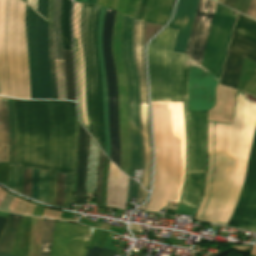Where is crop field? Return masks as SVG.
Here are the masks:
<instances>
[{
    "instance_id": "8a807250",
    "label": "crop field",
    "mask_w": 256,
    "mask_h": 256,
    "mask_svg": "<svg viewBox=\"0 0 256 256\" xmlns=\"http://www.w3.org/2000/svg\"><path fill=\"white\" fill-rule=\"evenodd\" d=\"M176 33L177 30L166 28L148 46L151 103L182 102L184 55L172 52ZM151 108L155 172L152 196L146 210L158 212L168 200L178 202L183 185V103L151 104Z\"/></svg>"
},
{
    "instance_id": "ac0d7876",
    "label": "crop field",
    "mask_w": 256,
    "mask_h": 256,
    "mask_svg": "<svg viewBox=\"0 0 256 256\" xmlns=\"http://www.w3.org/2000/svg\"><path fill=\"white\" fill-rule=\"evenodd\" d=\"M256 131V103L237 94L232 124L209 121L206 186L197 220L227 226Z\"/></svg>"
},
{
    "instance_id": "34b2d1b8",
    "label": "crop field",
    "mask_w": 256,
    "mask_h": 256,
    "mask_svg": "<svg viewBox=\"0 0 256 256\" xmlns=\"http://www.w3.org/2000/svg\"><path fill=\"white\" fill-rule=\"evenodd\" d=\"M15 164L49 170L47 203L56 195L57 171L74 174L78 116L71 101L13 99Z\"/></svg>"
},
{
    "instance_id": "412701ff",
    "label": "crop field",
    "mask_w": 256,
    "mask_h": 256,
    "mask_svg": "<svg viewBox=\"0 0 256 256\" xmlns=\"http://www.w3.org/2000/svg\"><path fill=\"white\" fill-rule=\"evenodd\" d=\"M6 1L7 0H1V6H0V41H1L4 92H5V96H8V97H11V92H12V97L30 99L25 27H24L25 3L21 0H8L7 13H6ZM5 13H6V26H7L11 92H10V80H9ZM1 54H0V95L4 96Z\"/></svg>"
},
{
    "instance_id": "f4fd0767",
    "label": "crop field",
    "mask_w": 256,
    "mask_h": 256,
    "mask_svg": "<svg viewBox=\"0 0 256 256\" xmlns=\"http://www.w3.org/2000/svg\"><path fill=\"white\" fill-rule=\"evenodd\" d=\"M188 63L189 57L185 56L183 98L186 127V173L179 203L196 208L204 183L207 111L188 112Z\"/></svg>"
},
{
    "instance_id": "dd49c442",
    "label": "crop field",
    "mask_w": 256,
    "mask_h": 256,
    "mask_svg": "<svg viewBox=\"0 0 256 256\" xmlns=\"http://www.w3.org/2000/svg\"><path fill=\"white\" fill-rule=\"evenodd\" d=\"M35 11L36 0H26ZM26 5L25 27L31 99H51L50 76L45 28L47 0H37L36 12Z\"/></svg>"
},
{
    "instance_id": "e52e79f7",
    "label": "crop field",
    "mask_w": 256,
    "mask_h": 256,
    "mask_svg": "<svg viewBox=\"0 0 256 256\" xmlns=\"http://www.w3.org/2000/svg\"><path fill=\"white\" fill-rule=\"evenodd\" d=\"M146 23L135 21L133 27L132 36V53L133 59L138 75L139 83V127L142 142V165L143 169L142 182L141 185L149 190L150 186V175H151V161H152V151H151V141L149 133V113H148V103H147V88H146V78H145V66H144V42L143 34Z\"/></svg>"
},
{
    "instance_id": "d8731c3e",
    "label": "crop field",
    "mask_w": 256,
    "mask_h": 256,
    "mask_svg": "<svg viewBox=\"0 0 256 256\" xmlns=\"http://www.w3.org/2000/svg\"><path fill=\"white\" fill-rule=\"evenodd\" d=\"M133 19L126 17L122 34V52L129 83V128L131 144V165L129 176L133 178L134 169H140L141 142L138 127V83L131 54Z\"/></svg>"
},
{
    "instance_id": "5a996713",
    "label": "crop field",
    "mask_w": 256,
    "mask_h": 256,
    "mask_svg": "<svg viewBox=\"0 0 256 256\" xmlns=\"http://www.w3.org/2000/svg\"><path fill=\"white\" fill-rule=\"evenodd\" d=\"M233 11L217 5L201 65L220 77L235 22Z\"/></svg>"
},
{
    "instance_id": "3316defc",
    "label": "crop field",
    "mask_w": 256,
    "mask_h": 256,
    "mask_svg": "<svg viewBox=\"0 0 256 256\" xmlns=\"http://www.w3.org/2000/svg\"><path fill=\"white\" fill-rule=\"evenodd\" d=\"M116 11L107 9L103 25V52L107 76V96L111 154L110 159L118 166L120 165L119 130L117 112V90L114 65L111 57V32Z\"/></svg>"
},
{
    "instance_id": "28ad6ade",
    "label": "crop field",
    "mask_w": 256,
    "mask_h": 256,
    "mask_svg": "<svg viewBox=\"0 0 256 256\" xmlns=\"http://www.w3.org/2000/svg\"><path fill=\"white\" fill-rule=\"evenodd\" d=\"M230 221L256 227V136L250 154L244 182ZM232 222L229 223V227L256 232L255 227Z\"/></svg>"
},
{
    "instance_id": "d1516ede",
    "label": "crop field",
    "mask_w": 256,
    "mask_h": 256,
    "mask_svg": "<svg viewBox=\"0 0 256 256\" xmlns=\"http://www.w3.org/2000/svg\"><path fill=\"white\" fill-rule=\"evenodd\" d=\"M94 5L84 3L81 32L86 59L87 110L90 134L99 145L95 73L91 48V23Z\"/></svg>"
},
{
    "instance_id": "22f410ed",
    "label": "crop field",
    "mask_w": 256,
    "mask_h": 256,
    "mask_svg": "<svg viewBox=\"0 0 256 256\" xmlns=\"http://www.w3.org/2000/svg\"><path fill=\"white\" fill-rule=\"evenodd\" d=\"M94 229L56 222L50 256H85Z\"/></svg>"
},
{
    "instance_id": "cbeb9de0",
    "label": "crop field",
    "mask_w": 256,
    "mask_h": 256,
    "mask_svg": "<svg viewBox=\"0 0 256 256\" xmlns=\"http://www.w3.org/2000/svg\"><path fill=\"white\" fill-rule=\"evenodd\" d=\"M219 78L190 59L189 111L209 110L214 106L215 86Z\"/></svg>"
},
{
    "instance_id": "5142ce71",
    "label": "crop field",
    "mask_w": 256,
    "mask_h": 256,
    "mask_svg": "<svg viewBox=\"0 0 256 256\" xmlns=\"http://www.w3.org/2000/svg\"><path fill=\"white\" fill-rule=\"evenodd\" d=\"M216 5L211 0H199L185 53L198 63H201Z\"/></svg>"
},
{
    "instance_id": "d9b57169",
    "label": "crop field",
    "mask_w": 256,
    "mask_h": 256,
    "mask_svg": "<svg viewBox=\"0 0 256 256\" xmlns=\"http://www.w3.org/2000/svg\"><path fill=\"white\" fill-rule=\"evenodd\" d=\"M230 50L256 62V22L243 16L237 17Z\"/></svg>"
},
{
    "instance_id": "733c2abd",
    "label": "crop field",
    "mask_w": 256,
    "mask_h": 256,
    "mask_svg": "<svg viewBox=\"0 0 256 256\" xmlns=\"http://www.w3.org/2000/svg\"><path fill=\"white\" fill-rule=\"evenodd\" d=\"M198 0H179L173 20L167 27L178 30L173 51L185 52Z\"/></svg>"
},
{
    "instance_id": "4a817a6b",
    "label": "crop field",
    "mask_w": 256,
    "mask_h": 256,
    "mask_svg": "<svg viewBox=\"0 0 256 256\" xmlns=\"http://www.w3.org/2000/svg\"><path fill=\"white\" fill-rule=\"evenodd\" d=\"M99 10H100V7L95 5L93 30H92V47H93L95 73H96V85H97L100 147L104 151L102 87H101V76H100L98 50H97V24H98Z\"/></svg>"
},
{
    "instance_id": "bc2a9ffb",
    "label": "crop field",
    "mask_w": 256,
    "mask_h": 256,
    "mask_svg": "<svg viewBox=\"0 0 256 256\" xmlns=\"http://www.w3.org/2000/svg\"><path fill=\"white\" fill-rule=\"evenodd\" d=\"M89 134L79 123V159L77 169V203H84V182L86 174Z\"/></svg>"
},
{
    "instance_id": "214f88e0",
    "label": "crop field",
    "mask_w": 256,
    "mask_h": 256,
    "mask_svg": "<svg viewBox=\"0 0 256 256\" xmlns=\"http://www.w3.org/2000/svg\"><path fill=\"white\" fill-rule=\"evenodd\" d=\"M174 2L175 0H150L142 21L164 26L171 15Z\"/></svg>"
},
{
    "instance_id": "92a150f3",
    "label": "crop field",
    "mask_w": 256,
    "mask_h": 256,
    "mask_svg": "<svg viewBox=\"0 0 256 256\" xmlns=\"http://www.w3.org/2000/svg\"><path fill=\"white\" fill-rule=\"evenodd\" d=\"M106 8L101 7L99 24H98V50L101 66L102 87H103V110H104V130H105V154L109 157L110 142H109V128H108V113H107V97H106V76L102 52V25Z\"/></svg>"
},
{
    "instance_id": "dafd665d",
    "label": "crop field",
    "mask_w": 256,
    "mask_h": 256,
    "mask_svg": "<svg viewBox=\"0 0 256 256\" xmlns=\"http://www.w3.org/2000/svg\"><path fill=\"white\" fill-rule=\"evenodd\" d=\"M9 162V131L6 98L0 96V163Z\"/></svg>"
},
{
    "instance_id": "00972430",
    "label": "crop field",
    "mask_w": 256,
    "mask_h": 256,
    "mask_svg": "<svg viewBox=\"0 0 256 256\" xmlns=\"http://www.w3.org/2000/svg\"><path fill=\"white\" fill-rule=\"evenodd\" d=\"M237 57H238L237 54H235L231 51H228V55H227V59H226V63H225V67L223 70L220 84L230 87L234 69H235V65H236V61H237ZM243 59L244 58L241 56L238 57V61H237V65H236V69H235V73H234V77H233V81H232V85H231V87L234 89L236 88V84L238 81V77H239V73L241 70L242 63H243Z\"/></svg>"
},
{
    "instance_id": "a9b5d70f",
    "label": "crop field",
    "mask_w": 256,
    "mask_h": 256,
    "mask_svg": "<svg viewBox=\"0 0 256 256\" xmlns=\"http://www.w3.org/2000/svg\"><path fill=\"white\" fill-rule=\"evenodd\" d=\"M52 3H53V0H48L46 26H47L48 50H49L50 73H51L52 99H57L55 67H54V53H53V40H52V27H51Z\"/></svg>"
},
{
    "instance_id": "4177f3b9",
    "label": "crop field",
    "mask_w": 256,
    "mask_h": 256,
    "mask_svg": "<svg viewBox=\"0 0 256 256\" xmlns=\"http://www.w3.org/2000/svg\"><path fill=\"white\" fill-rule=\"evenodd\" d=\"M61 2L62 0H54L53 6L52 26L54 36L55 60L62 59V43L60 28Z\"/></svg>"
},
{
    "instance_id": "730fd06b",
    "label": "crop field",
    "mask_w": 256,
    "mask_h": 256,
    "mask_svg": "<svg viewBox=\"0 0 256 256\" xmlns=\"http://www.w3.org/2000/svg\"><path fill=\"white\" fill-rule=\"evenodd\" d=\"M22 216L11 214L0 238V252L9 253L16 229Z\"/></svg>"
},
{
    "instance_id": "eef30255",
    "label": "crop field",
    "mask_w": 256,
    "mask_h": 256,
    "mask_svg": "<svg viewBox=\"0 0 256 256\" xmlns=\"http://www.w3.org/2000/svg\"><path fill=\"white\" fill-rule=\"evenodd\" d=\"M70 11H71V0H63L62 15H61L63 50H72Z\"/></svg>"
},
{
    "instance_id": "ae1a2a85",
    "label": "crop field",
    "mask_w": 256,
    "mask_h": 256,
    "mask_svg": "<svg viewBox=\"0 0 256 256\" xmlns=\"http://www.w3.org/2000/svg\"><path fill=\"white\" fill-rule=\"evenodd\" d=\"M67 100H75V83L72 51H63Z\"/></svg>"
},
{
    "instance_id": "d3111659",
    "label": "crop field",
    "mask_w": 256,
    "mask_h": 256,
    "mask_svg": "<svg viewBox=\"0 0 256 256\" xmlns=\"http://www.w3.org/2000/svg\"><path fill=\"white\" fill-rule=\"evenodd\" d=\"M54 223L52 220H42L40 256H49Z\"/></svg>"
},
{
    "instance_id": "750c4746",
    "label": "crop field",
    "mask_w": 256,
    "mask_h": 256,
    "mask_svg": "<svg viewBox=\"0 0 256 256\" xmlns=\"http://www.w3.org/2000/svg\"><path fill=\"white\" fill-rule=\"evenodd\" d=\"M23 167L10 165L8 187L22 194Z\"/></svg>"
},
{
    "instance_id": "bd1437ed",
    "label": "crop field",
    "mask_w": 256,
    "mask_h": 256,
    "mask_svg": "<svg viewBox=\"0 0 256 256\" xmlns=\"http://www.w3.org/2000/svg\"><path fill=\"white\" fill-rule=\"evenodd\" d=\"M7 104H8L9 130H10V163L14 164L15 133H14V123H13L12 99L7 98Z\"/></svg>"
},
{
    "instance_id": "1d83c4d3",
    "label": "crop field",
    "mask_w": 256,
    "mask_h": 256,
    "mask_svg": "<svg viewBox=\"0 0 256 256\" xmlns=\"http://www.w3.org/2000/svg\"><path fill=\"white\" fill-rule=\"evenodd\" d=\"M58 99H65L63 60L55 61Z\"/></svg>"
},
{
    "instance_id": "120bbe31",
    "label": "crop field",
    "mask_w": 256,
    "mask_h": 256,
    "mask_svg": "<svg viewBox=\"0 0 256 256\" xmlns=\"http://www.w3.org/2000/svg\"><path fill=\"white\" fill-rule=\"evenodd\" d=\"M127 2L128 0H99L97 5L124 13Z\"/></svg>"
},
{
    "instance_id": "d32e631a",
    "label": "crop field",
    "mask_w": 256,
    "mask_h": 256,
    "mask_svg": "<svg viewBox=\"0 0 256 256\" xmlns=\"http://www.w3.org/2000/svg\"><path fill=\"white\" fill-rule=\"evenodd\" d=\"M219 2L232 7L242 13H246L251 0H218Z\"/></svg>"
},
{
    "instance_id": "5866460e",
    "label": "crop field",
    "mask_w": 256,
    "mask_h": 256,
    "mask_svg": "<svg viewBox=\"0 0 256 256\" xmlns=\"http://www.w3.org/2000/svg\"><path fill=\"white\" fill-rule=\"evenodd\" d=\"M64 179H65V174L58 172V176H57V195H56L55 205L61 206V207H62L63 198H64Z\"/></svg>"
},
{
    "instance_id": "028f5c9d",
    "label": "crop field",
    "mask_w": 256,
    "mask_h": 256,
    "mask_svg": "<svg viewBox=\"0 0 256 256\" xmlns=\"http://www.w3.org/2000/svg\"><path fill=\"white\" fill-rule=\"evenodd\" d=\"M73 178H74V175L66 174L65 199H64L63 207L69 208V209L71 208L70 194H71V189H72V185H73Z\"/></svg>"
},
{
    "instance_id": "e1f06a70",
    "label": "crop field",
    "mask_w": 256,
    "mask_h": 256,
    "mask_svg": "<svg viewBox=\"0 0 256 256\" xmlns=\"http://www.w3.org/2000/svg\"><path fill=\"white\" fill-rule=\"evenodd\" d=\"M48 171L41 170L40 196L39 201L45 202L47 199Z\"/></svg>"
},
{
    "instance_id": "0bd39190",
    "label": "crop field",
    "mask_w": 256,
    "mask_h": 256,
    "mask_svg": "<svg viewBox=\"0 0 256 256\" xmlns=\"http://www.w3.org/2000/svg\"><path fill=\"white\" fill-rule=\"evenodd\" d=\"M31 174H32V169L24 167L23 194L29 197L31 195Z\"/></svg>"
},
{
    "instance_id": "b80d0937",
    "label": "crop field",
    "mask_w": 256,
    "mask_h": 256,
    "mask_svg": "<svg viewBox=\"0 0 256 256\" xmlns=\"http://www.w3.org/2000/svg\"><path fill=\"white\" fill-rule=\"evenodd\" d=\"M103 157H104V154L100 150V154H99V167H98V178H97V186H96L97 204H99V205H100V198H101V176H102V169H103Z\"/></svg>"
},
{
    "instance_id": "c035e120",
    "label": "crop field",
    "mask_w": 256,
    "mask_h": 256,
    "mask_svg": "<svg viewBox=\"0 0 256 256\" xmlns=\"http://www.w3.org/2000/svg\"><path fill=\"white\" fill-rule=\"evenodd\" d=\"M39 180H40V170L33 169L32 175V198H38L39 193Z\"/></svg>"
},
{
    "instance_id": "c21b1889",
    "label": "crop field",
    "mask_w": 256,
    "mask_h": 256,
    "mask_svg": "<svg viewBox=\"0 0 256 256\" xmlns=\"http://www.w3.org/2000/svg\"><path fill=\"white\" fill-rule=\"evenodd\" d=\"M242 91H246L256 97V72L243 87Z\"/></svg>"
},
{
    "instance_id": "03da06ac",
    "label": "crop field",
    "mask_w": 256,
    "mask_h": 256,
    "mask_svg": "<svg viewBox=\"0 0 256 256\" xmlns=\"http://www.w3.org/2000/svg\"><path fill=\"white\" fill-rule=\"evenodd\" d=\"M138 3H139V0H129L124 14L133 18L136 8L138 6Z\"/></svg>"
},
{
    "instance_id": "b54c1fbb",
    "label": "crop field",
    "mask_w": 256,
    "mask_h": 256,
    "mask_svg": "<svg viewBox=\"0 0 256 256\" xmlns=\"http://www.w3.org/2000/svg\"><path fill=\"white\" fill-rule=\"evenodd\" d=\"M148 1L149 0H140V3H139V6L137 8L134 19L140 20V21L142 20V17L144 15L145 9L147 7Z\"/></svg>"
},
{
    "instance_id": "5d738f31",
    "label": "crop field",
    "mask_w": 256,
    "mask_h": 256,
    "mask_svg": "<svg viewBox=\"0 0 256 256\" xmlns=\"http://www.w3.org/2000/svg\"><path fill=\"white\" fill-rule=\"evenodd\" d=\"M138 183L129 179L128 185V197L136 198L137 196Z\"/></svg>"
},
{
    "instance_id": "d23c7cc5",
    "label": "crop field",
    "mask_w": 256,
    "mask_h": 256,
    "mask_svg": "<svg viewBox=\"0 0 256 256\" xmlns=\"http://www.w3.org/2000/svg\"><path fill=\"white\" fill-rule=\"evenodd\" d=\"M148 193L139 185L138 196L136 204H140L146 200Z\"/></svg>"
},
{
    "instance_id": "425ffa30",
    "label": "crop field",
    "mask_w": 256,
    "mask_h": 256,
    "mask_svg": "<svg viewBox=\"0 0 256 256\" xmlns=\"http://www.w3.org/2000/svg\"><path fill=\"white\" fill-rule=\"evenodd\" d=\"M246 14L256 19V0H252Z\"/></svg>"
},
{
    "instance_id": "25e5ab78",
    "label": "crop field",
    "mask_w": 256,
    "mask_h": 256,
    "mask_svg": "<svg viewBox=\"0 0 256 256\" xmlns=\"http://www.w3.org/2000/svg\"><path fill=\"white\" fill-rule=\"evenodd\" d=\"M101 252L100 248L94 247L93 250L88 249L86 256H99Z\"/></svg>"
},
{
    "instance_id": "73cf0c24",
    "label": "crop field",
    "mask_w": 256,
    "mask_h": 256,
    "mask_svg": "<svg viewBox=\"0 0 256 256\" xmlns=\"http://www.w3.org/2000/svg\"><path fill=\"white\" fill-rule=\"evenodd\" d=\"M80 21H81V18H80ZM73 29V27H72ZM73 45H74V41H73ZM83 48V47H82ZM74 59H75V54H74ZM75 71H76V68H75ZM76 84H77V81H76ZM78 96V95H77ZM85 109H86V93H85ZM78 110H79V106H78ZM86 116H87V110H86ZM79 118H80V114H79ZM80 121L81 123L85 126V128L88 130L89 132V129L88 127L85 125V123L82 121V119L80 118ZM87 123H88V120H87Z\"/></svg>"
},
{
    "instance_id": "89e229c0",
    "label": "crop field",
    "mask_w": 256,
    "mask_h": 256,
    "mask_svg": "<svg viewBox=\"0 0 256 256\" xmlns=\"http://www.w3.org/2000/svg\"><path fill=\"white\" fill-rule=\"evenodd\" d=\"M114 253H115L114 251L107 250V249L103 248L100 256H114Z\"/></svg>"
},
{
    "instance_id": "1f2cbd36",
    "label": "crop field",
    "mask_w": 256,
    "mask_h": 256,
    "mask_svg": "<svg viewBox=\"0 0 256 256\" xmlns=\"http://www.w3.org/2000/svg\"><path fill=\"white\" fill-rule=\"evenodd\" d=\"M6 222H7L6 218H0V235L5 227Z\"/></svg>"
},
{
    "instance_id": "dbb93151",
    "label": "crop field",
    "mask_w": 256,
    "mask_h": 256,
    "mask_svg": "<svg viewBox=\"0 0 256 256\" xmlns=\"http://www.w3.org/2000/svg\"><path fill=\"white\" fill-rule=\"evenodd\" d=\"M97 1H98V0H88L87 2L93 3V4H97Z\"/></svg>"
},
{
    "instance_id": "0fb4a251",
    "label": "crop field",
    "mask_w": 256,
    "mask_h": 256,
    "mask_svg": "<svg viewBox=\"0 0 256 256\" xmlns=\"http://www.w3.org/2000/svg\"><path fill=\"white\" fill-rule=\"evenodd\" d=\"M0 256H11V255L0 254Z\"/></svg>"
},
{
    "instance_id": "1d79db26",
    "label": "crop field",
    "mask_w": 256,
    "mask_h": 256,
    "mask_svg": "<svg viewBox=\"0 0 256 256\" xmlns=\"http://www.w3.org/2000/svg\"><path fill=\"white\" fill-rule=\"evenodd\" d=\"M80 1H85L86 2L87 0H80Z\"/></svg>"
},
{
    "instance_id": "9d1cf04e",
    "label": "crop field",
    "mask_w": 256,
    "mask_h": 256,
    "mask_svg": "<svg viewBox=\"0 0 256 256\" xmlns=\"http://www.w3.org/2000/svg\"><path fill=\"white\" fill-rule=\"evenodd\" d=\"M25 2V0H23Z\"/></svg>"
},
{
    "instance_id": "447ae74e",
    "label": "crop field",
    "mask_w": 256,
    "mask_h": 256,
    "mask_svg": "<svg viewBox=\"0 0 256 256\" xmlns=\"http://www.w3.org/2000/svg\"><path fill=\"white\" fill-rule=\"evenodd\" d=\"M217 1V0H216Z\"/></svg>"
}]
</instances>
